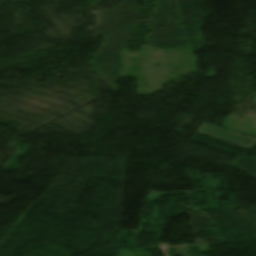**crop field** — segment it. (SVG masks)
Here are the masks:
<instances>
[{
    "instance_id": "1",
    "label": "crop field",
    "mask_w": 256,
    "mask_h": 256,
    "mask_svg": "<svg viewBox=\"0 0 256 256\" xmlns=\"http://www.w3.org/2000/svg\"><path fill=\"white\" fill-rule=\"evenodd\" d=\"M199 133L206 134L247 148L256 143V139L254 138L244 137L238 133L230 132L208 124H204L199 130Z\"/></svg>"
}]
</instances>
